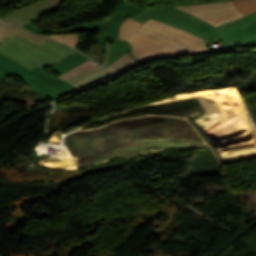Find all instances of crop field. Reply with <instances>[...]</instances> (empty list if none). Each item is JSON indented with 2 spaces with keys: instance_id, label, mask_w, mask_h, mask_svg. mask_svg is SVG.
<instances>
[{
  "instance_id": "crop-field-6",
  "label": "crop field",
  "mask_w": 256,
  "mask_h": 256,
  "mask_svg": "<svg viewBox=\"0 0 256 256\" xmlns=\"http://www.w3.org/2000/svg\"><path fill=\"white\" fill-rule=\"evenodd\" d=\"M17 77L37 94L53 101L78 91L74 86L60 80L58 77L55 78L40 67Z\"/></svg>"
},
{
  "instance_id": "crop-field-2",
  "label": "crop field",
  "mask_w": 256,
  "mask_h": 256,
  "mask_svg": "<svg viewBox=\"0 0 256 256\" xmlns=\"http://www.w3.org/2000/svg\"><path fill=\"white\" fill-rule=\"evenodd\" d=\"M0 52L27 66L30 70L38 66L41 68L49 67L78 53L49 39L37 45L13 34L1 42Z\"/></svg>"
},
{
  "instance_id": "crop-field-20",
  "label": "crop field",
  "mask_w": 256,
  "mask_h": 256,
  "mask_svg": "<svg viewBox=\"0 0 256 256\" xmlns=\"http://www.w3.org/2000/svg\"><path fill=\"white\" fill-rule=\"evenodd\" d=\"M13 34L18 35L20 37H23V38H25L27 40H30L32 42H35L37 44H39L40 42H42L45 39V38H42L40 36L34 35V34L28 32L24 29H21V28L16 30Z\"/></svg>"
},
{
  "instance_id": "crop-field-19",
  "label": "crop field",
  "mask_w": 256,
  "mask_h": 256,
  "mask_svg": "<svg viewBox=\"0 0 256 256\" xmlns=\"http://www.w3.org/2000/svg\"><path fill=\"white\" fill-rule=\"evenodd\" d=\"M17 28L19 27L0 20V42L4 40L8 35H10L13 31H15Z\"/></svg>"
},
{
  "instance_id": "crop-field-18",
  "label": "crop field",
  "mask_w": 256,
  "mask_h": 256,
  "mask_svg": "<svg viewBox=\"0 0 256 256\" xmlns=\"http://www.w3.org/2000/svg\"><path fill=\"white\" fill-rule=\"evenodd\" d=\"M95 64H97V63L89 60V61H87V62H85V63H83V64H81V65H79V66H77V67H75V68H73L71 70H69V71H67L66 73H64V74H62V75H60L58 77H60L61 79L65 80V79H67V78H69V77H71V76H73V75H75V74H77V73H79V72H81V71H83V70H85V69L95 65Z\"/></svg>"
},
{
  "instance_id": "crop-field-14",
  "label": "crop field",
  "mask_w": 256,
  "mask_h": 256,
  "mask_svg": "<svg viewBox=\"0 0 256 256\" xmlns=\"http://www.w3.org/2000/svg\"><path fill=\"white\" fill-rule=\"evenodd\" d=\"M234 2L244 16L256 11V0H234Z\"/></svg>"
},
{
  "instance_id": "crop-field-4",
  "label": "crop field",
  "mask_w": 256,
  "mask_h": 256,
  "mask_svg": "<svg viewBox=\"0 0 256 256\" xmlns=\"http://www.w3.org/2000/svg\"><path fill=\"white\" fill-rule=\"evenodd\" d=\"M142 23L125 19L120 27L118 39L128 40L134 47L133 54L141 64L168 56L184 55L180 50L136 32Z\"/></svg>"
},
{
  "instance_id": "crop-field-17",
  "label": "crop field",
  "mask_w": 256,
  "mask_h": 256,
  "mask_svg": "<svg viewBox=\"0 0 256 256\" xmlns=\"http://www.w3.org/2000/svg\"><path fill=\"white\" fill-rule=\"evenodd\" d=\"M105 49L106 47L92 45L91 49L86 55L102 64L105 55Z\"/></svg>"
},
{
  "instance_id": "crop-field-1",
  "label": "crop field",
  "mask_w": 256,
  "mask_h": 256,
  "mask_svg": "<svg viewBox=\"0 0 256 256\" xmlns=\"http://www.w3.org/2000/svg\"><path fill=\"white\" fill-rule=\"evenodd\" d=\"M232 0H174L172 6L227 2ZM150 17L168 23L170 25L181 28L187 32L195 34L204 38L207 46L210 43L215 44L217 40L221 39L224 44L232 42V40L224 33L247 25L256 21V12L246 17L231 21L229 23L214 27L196 17H193L174 7L165 5H156L148 7L140 11L133 18L145 22ZM191 26V27H189ZM221 29V31H219ZM237 48L239 47H256V39L234 41Z\"/></svg>"
},
{
  "instance_id": "crop-field-5",
  "label": "crop field",
  "mask_w": 256,
  "mask_h": 256,
  "mask_svg": "<svg viewBox=\"0 0 256 256\" xmlns=\"http://www.w3.org/2000/svg\"><path fill=\"white\" fill-rule=\"evenodd\" d=\"M138 32L159 39L186 54L209 51L202 38L152 18L146 21Z\"/></svg>"
},
{
  "instance_id": "crop-field-12",
  "label": "crop field",
  "mask_w": 256,
  "mask_h": 256,
  "mask_svg": "<svg viewBox=\"0 0 256 256\" xmlns=\"http://www.w3.org/2000/svg\"><path fill=\"white\" fill-rule=\"evenodd\" d=\"M114 74L104 70V71H101L99 73H96V74H93L91 76H88L86 78H84L83 80H81L79 83H77L76 85H74L78 90L94 83V82H97V81H100L102 79H105V78H108L110 76H113Z\"/></svg>"
},
{
  "instance_id": "crop-field-15",
  "label": "crop field",
  "mask_w": 256,
  "mask_h": 256,
  "mask_svg": "<svg viewBox=\"0 0 256 256\" xmlns=\"http://www.w3.org/2000/svg\"><path fill=\"white\" fill-rule=\"evenodd\" d=\"M101 70H104L101 66H99L98 64L77 74L76 76L66 80L67 82L71 83V84H76L77 82H79L81 79H83L84 77L91 75L93 73L99 72Z\"/></svg>"
},
{
  "instance_id": "crop-field-3",
  "label": "crop field",
  "mask_w": 256,
  "mask_h": 256,
  "mask_svg": "<svg viewBox=\"0 0 256 256\" xmlns=\"http://www.w3.org/2000/svg\"><path fill=\"white\" fill-rule=\"evenodd\" d=\"M122 6L123 8L120 9L113 16L109 17L108 20H104L96 23L82 24L75 27H71V29L59 30V31H42L39 28H37L32 21L24 25V27L36 33H52V32H66V31L100 32L99 45H103V46H106L107 38H113L108 63L106 65L107 67L111 63L119 59L121 56L129 52L131 49H133L128 41L117 40L118 30H119L120 23L126 17L128 16L132 17L137 12L142 10V8L135 6L129 2H127L126 4H123Z\"/></svg>"
},
{
  "instance_id": "crop-field-16",
  "label": "crop field",
  "mask_w": 256,
  "mask_h": 256,
  "mask_svg": "<svg viewBox=\"0 0 256 256\" xmlns=\"http://www.w3.org/2000/svg\"><path fill=\"white\" fill-rule=\"evenodd\" d=\"M40 35H42V34H40ZM47 37H51V38L66 42L73 47H76L78 42L80 41V34L50 35Z\"/></svg>"
},
{
  "instance_id": "crop-field-7",
  "label": "crop field",
  "mask_w": 256,
  "mask_h": 256,
  "mask_svg": "<svg viewBox=\"0 0 256 256\" xmlns=\"http://www.w3.org/2000/svg\"><path fill=\"white\" fill-rule=\"evenodd\" d=\"M217 26L243 17L233 2L176 7Z\"/></svg>"
},
{
  "instance_id": "crop-field-10",
  "label": "crop field",
  "mask_w": 256,
  "mask_h": 256,
  "mask_svg": "<svg viewBox=\"0 0 256 256\" xmlns=\"http://www.w3.org/2000/svg\"><path fill=\"white\" fill-rule=\"evenodd\" d=\"M86 60H88L86 57H84L78 53L72 57H69V58L63 60L62 62H60L58 64L53 65L52 69L55 72L62 74L64 72H66L67 70L83 63Z\"/></svg>"
},
{
  "instance_id": "crop-field-11",
  "label": "crop field",
  "mask_w": 256,
  "mask_h": 256,
  "mask_svg": "<svg viewBox=\"0 0 256 256\" xmlns=\"http://www.w3.org/2000/svg\"><path fill=\"white\" fill-rule=\"evenodd\" d=\"M232 40L256 38V22L226 33Z\"/></svg>"
},
{
  "instance_id": "crop-field-22",
  "label": "crop field",
  "mask_w": 256,
  "mask_h": 256,
  "mask_svg": "<svg viewBox=\"0 0 256 256\" xmlns=\"http://www.w3.org/2000/svg\"><path fill=\"white\" fill-rule=\"evenodd\" d=\"M1 256V255H0Z\"/></svg>"
},
{
  "instance_id": "crop-field-21",
  "label": "crop field",
  "mask_w": 256,
  "mask_h": 256,
  "mask_svg": "<svg viewBox=\"0 0 256 256\" xmlns=\"http://www.w3.org/2000/svg\"><path fill=\"white\" fill-rule=\"evenodd\" d=\"M111 41H112V39H108L107 49H106V55H105V59H104V63H103L104 66H105L106 61H107V59H108L109 50H110V46H111Z\"/></svg>"
},
{
  "instance_id": "crop-field-9",
  "label": "crop field",
  "mask_w": 256,
  "mask_h": 256,
  "mask_svg": "<svg viewBox=\"0 0 256 256\" xmlns=\"http://www.w3.org/2000/svg\"><path fill=\"white\" fill-rule=\"evenodd\" d=\"M28 70V68L10 60L0 53V77L16 76Z\"/></svg>"
},
{
  "instance_id": "crop-field-8",
  "label": "crop field",
  "mask_w": 256,
  "mask_h": 256,
  "mask_svg": "<svg viewBox=\"0 0 256 256\" xmlns=\"http://www.w3.org/2000/svg\"><path fill=\"white\" fill-rule=\"evenodd\" d=\"M62 1L63 0H43L35 4L19 8L2 16L1 18L22 26L37 17L57 10Z\"/></svg>"
},
{
  "instance_id": "crop-field-13",
  "label": "crop field",
  "mask_w": 256,
  "mask_h": 256,
  "mask_svg": "<svg viewBox=\"0 0 256 256\" xmlns=\"http://www.w3.org/2000/svg\"><path fill=\"white\" fill-rule=\"evenodd\" d=\"M133 66H135L134 62L126 54L107 68L115 72H121Z\"/></svg>"
}]
</instances>
